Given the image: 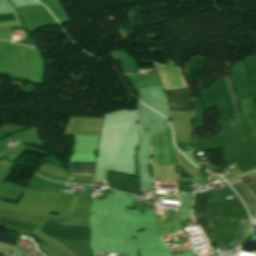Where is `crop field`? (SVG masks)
Wrapping results in <instances>:
<instances>
[{"mask_svg":"<svg viewBox=\"0 0 256 256\" xmlns=\"http://www.w3.org/2000/svg\"><path fill=\"white\" fill-rule=\"evenodd\" d=\"M249 235V220H239V230L231 243L241 244Z\"/></svg>","mask_w":256,"mask_h":256,"instance_id":"dd49c442","label":"crop field"},{"mask_svg":"<svg viewBox=\"0 0 256 256\" xmlns=\"http://www.w3.org/2000/svg\"><path fill=\"white\" fill-rule=\"evenodd\" d=\"M70 168L71 172L94 174L95 162H70Z\"/></svg>","mask_w":256,"mask_h":256,"instance_id":"f4fd0767","label":"crop field"},{"mask_svg":"<svg viewBox=\"0 0 256 256\" xmlns=\"http://www.w3.org/2000/svg\"><path fill=\"white\" fill-rule=\"evenodd\" d=\"M170 111H192L188 88L165 90Z\"/></svg>","mask_w":256,"mask_h":256,"instance_id":"34b2d1b8","label":"crop field"},{"mask_svg":"<svg viewBox=\"0 0 256 256\" xmlns=\"http://www.w3.org/2000/svg\"><path fill=\"white\" fill-rule=\"evenodd\" d=\"M16 240H17L16 236H14L12 234H9V233H4V232L0 231V242L9 244L11 246H14Z\"/></svg>","mask_w":256,"mask_h":256,"instance_id":"d8731c3e","label":"crop field"},{"mask_svg":"<svg viewBox=\"0 0 256 256\" xmlns=\"http://www.w3.org/2000/svg\"><path fill=\"white\" fill-rule=\"evenodd\" d=\"M207 192L195 193L193 204V216L196 219L202 233L213 228L206 211Z\"/></svg>","mask_w":256,"mask_h":256,"instance_id":"412701ff","label":"crop field"},{"mask_svg":"<svg viewBox=\"0 0 256 256\" xmlns=\"http://www.w3.org/2000/svg\"><path fill=\"white\" fill-rule=\"evenodd\" d=\"M255 173L252 172L247 175L256 184ZM248 177L245 175L231 179L228 182L241 196L249 210L250 217L256 220V185Z\"/></svg>","mask_w":256,"mask_h":256,"instance_id":"ac0d7876","label":"crop field"},{"mask_svg":"<svg viewBox=\"0 0 256 256\" xmlns=\"http://www.w3.org/2000/svg\"><path fill=\"white\" fill-rule=\"evenodd\" d=\"M48 221L67 224V225L89 227L88 219L81 218V217H71V216L51 217L49 218ZM52 222H46V224L43 227L62 230V231L75 232V233L90 234L89 228L67 226V225H61V224H56ZM44 228H42L41 231L54 238L68 239V240H74V241H80V242H89L90 240V235L68 233V232H62V231H56V230H50V229H44Z\"/></svg>","mask_w":256,"mask_h":256,"instance_id":"8a807250","label":"crop field"},{"mask_svg":"<svg viewBox=\"0 0 256 256\" xmlns=\"http://www.w3.org/2000/svg\"><path fill=\"white\" fill-rule=\"evenodd\" d=\"M221 87L223 89L224 95H225V99H226V103H227V107H228V114L230 116V118L234 117V113H233V108H232V104H231V100L226 88V84H225V80L224 77L219 79Z\"/></svg>","mask_w":256,"mask_h":256,"instance_id":"e52e79f7","label":"crop field"}]
</instances>
